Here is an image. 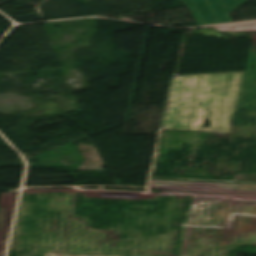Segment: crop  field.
<instances>
[{"label": "crop field", "mask_w": 256, "mask_h": 256, "mask_svg": "<svg viewBox=\"0 0 256 256\" xmlns=\"http://www.w3.org/2000/svg\"><path fill=\"white\" fill-rule=\"evenodd\" d=\"M210 114H211V111H208L205 118H206V119H209V120L211 121V120H212V117L209 118Z\"/></svg>", "instance_id": "3"}, {"label": "crop field", "mask_w": 256, "mask_h": 256, "mask_svg": "<svg viewBox=\"0 0 256 256\" xmlns=\"http://www.w3.org/2000/svg\"><path fill=\"white\" fill-rule=\"evenodd\" d=\"M194 2L203 21L218 20L222 18V10L227 5L244 0H191Z\"/></svg>", "instance_id": "1"}, {"label": "crop field", "mask_w": 256, "mask_h": 256, "mask_svg": "<svg viewBox=\"0 0 256 256\" xmlns=\"http://www.w3.org/2000/svg\"><path fill=\"white\" fill-rule=\"evenodd\" d=\"M181 1L188 6V8L190 9L191 13L193 14V16H194L195 20L197 21V23L199 24V26L232 22L228 12L232 8H234L236 5H238L240 3V2H236V3L226 7L223 10V18H224V20L203 22L201 17H200V15H199V13L196 10L194 4H193V2H191L189 0H181Z\"/></svg>", "instance_id": "2"}]
</instances>
